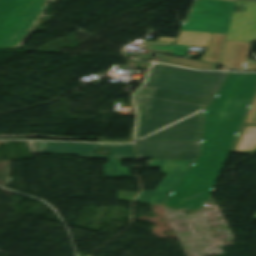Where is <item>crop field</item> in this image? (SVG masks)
<instances>
[{
  "instance_id": "crop-field-17",
  "label": "crop field",
  "mask_w": 256,
  "mask_h": 256,
  "mask_svg": "<svg viewBox=\"0 0 256 256\" xmlns=\"http://www.w3.org/2000/svg\"><path fill=\"white\" fill-rule=\"evenodd\" d=\"M254 219H256V214L254 215V217H253Z\"/></svg>"
},
{
  "instance_id": "crop-field-11",
  "label": "crop field",
  "mask_w": 256,
  "mask_h": 256,
  "mask_svg": "<svg viewBox=\"0 0 256 256\" xmlns=\"http://www.w3.org/2000/svg\"><path fill=\"white\" fill-rule=\"evenodd\" d=\"M121 160H134V159H121ZM121 160H108L104 164L106 178H121V177H134L130 176V170L121 167Z\"/></svg>"
},
{
  "instance_id": "crop-field-12",
  "label": "crop field",
  "mask_w": 256,
  "mask_h": 256,
  "mask_svg": "<svg viewBox=\"0 0 256 256\" xmlns=\"http://www.w3.org/2000/svg\"><path fill=\"white\" fill-rule=\"evenodd\" d=\"M109 151L108 159L134 158L133 145H103Z\"/></svg>"
},
{
  "instance_id": "crop-field-4",
  "label": "crop field",
  "mask_w": 256,
  "mask_h": 256,
  "mask_svg": "<svg viewBox=\"0 0 256 256\" xmlns=\"http://www.w3.org/2000/svg\"><path fill=\"white\" fill-rule=\"evenodd\" d=\"M193 161L151 159L145 168L161 166L168 174L154 192H142L135 202L162 205Z\"/></svg>"
},
{
  "instance_id": "crop-field-2",
  "label": "crop field",
  "mask_w": 256,
  "mask_h": 256,
  "mask_svg": "<svg viewBox=\"0 0 256 256\" xmlns=\"http://www.w3.org/2000/svg\"><path fill=\"white\" fill-rule=\"evenodd\" d=\"M256 88V73H230L205 110L201 155L168 200L195 195L214 185Z\"/></svg>"
},
{
  "instance_id": "crop-field-15",
  "label": "crop field",
  "mask_w": 256,
  "mask_h": 256,
  "mask_svg": "<svg viewBox=\"0 0 256 256\" xmlns=\"http://www.w3.org/2000/svg\"><path fill=\"white\" fill-rule=\"evenodd\" d=\"M137 193L119 192L118 201L132 202Z\"/></svg>"
},
{
  "instance_id": "crop-field-14",
  "label": "crop field",
  "mask_w": 256,
  "mask_h": 256,
  "mask_svg": "<svg viewBox=\"0 0 256 256\" xmlns=\"http://www.w3.org/2000/svg\"><path fill=\"white\" fill-rule=\"evenodd\" d=\"M144 87V86H143ZM154 90L153 88H147V87H144L142 88L140 91H138L136 94H135V100H136V105L138 107V109L140 110L139 106H138V98L137 96L138 95H141V96H147V97H152L153 96V93H154Z\"/></svg>"
},
{
  "instance_id": "crop-field-1",
  "label": "crop field",
  "mask_w": 256,
  "mask_h": 256,
  "mask_svg": "<svg viewBox=\"0 0 256 256\" xmlns=\"http://www.w3.org/2000/svg\"><path fill=\"white\" fill-rule=\"evenodd\" d=\"M227 74L154 65L145 85L156 88L154 96L138 97L137 139L199 141L202 109Z\"/></svg>"
},
{
  "instance_id": "crop-field-6",
  "label": "crop field",
  "mask_w": 256,
  "mask_h": 256,
  "mask_svg": "<svg viewBox=\"0 0 256 256\" xmlns=\"http://www.w3.org/2000/svg\"><path fill=\"white\" fill-rule=\"evenodd\" d=\"M245 12H234L226 40L256 41V0H238Z\"/></svg>"
},
{
  "instance_id": "crop-field-10",
  "label": "crop field",
  "mask_w": 256,
  "mask_h": 256,
  "mask_svg": "<svg viewBox=\"0 0 256 256\" xmlns=\"http://www.w3.org/2000/svg\"><path fill=\"white\" fill-rule=\"evenodd\" d=\"M153 61L179 65L184 67H190V68H196V69H206V70H214L217 68V65H218L214 63L176 58V57H170V56H163V55L155 56Z\"/></svg>"
},
{
  "instance_id": "crop-field-16",
  "label": "crop field",
  "mask_w": 256,
  "mask_h": 256,
  "mask_svg": "<svg viewBox=\"0 0 256 256\" xmlns=\"http://www.w3.org/2000/svg\"><path fill=\"white\" fill-rule=\"evenodd\" d=\"M29 143H30L32 152L38 153L44 142H29Z\"/></svg>"
},
{
  "instance_id": "crop-field-13",
  "label": "crop field",
  "mask_w": 256,
  "mask_h": 256,
  "mask_svg": "<svg viewBox=\"0 0 256 256\" xmlns=\"http://www.w3.org/2000/svg\"><path fill=\"white\" fill-rule=\"evenodd\" d=\"M9 178L8 161H0V185L7 186Z\"/></svg>"
},
{
  "instance_id": "crop-field-5",
  "label": "crop field",
  "mask_w": 256,
  "mask_h": 256,
  "mask_svg": "<svg viewBox=\"0 0 256 256\" xmlns=\"http://www.w3.org/2000/svg\"><path fill=\"white\" fill-rule=\"evenodd\" d=\"M200 143L137 141V158L195 160Z\"/></svg>"
},
{
  "instance_id": "crop-field-18",
  "label": "crop field",
  "mask_w": 256,
  "mask_h": 256,
  "mask_svg": "<svg viewBox=\"0 0 256 256\" xmlns=\"http://www.w3.org/2000/svg\"><path fill=\"white\" fill-rule=\"evenodd\" d=\"M0 143H3V142H0Z\"/></svg>"
},
{
  "instance_id": "crop-field-9",
  "label": "crop field",
  "mask_w": 256,
  "mask_h": 256,
  "mask_svg": "<svg viewBox=\"0 0 256 256\" xmlns=\"http://www.w3.org/2000/svg\"><path fill=\"white\" fill-rule=\"evenodd\" d=\"M213 188L214 186L193 197L184 198L180 201H166L163 206L174 209H189L197 211L208 200Z\"/></svg>"
},
{
  "instance_id": "crop-field-8",
  "label": "crop field",
  "mask_w": 256,
  "mask_h": 256,
  "mask_svg": "<svg viewBox=\"0 0 256 256\" xmlns=\"http://www.w3.org/2000/svg\"><path fill=\"white\" fill-rule=\"evenodd\" d=\"M95 150H100V145L45 142L39 153L70 154L79 155L80 158L94 159Z\"/></svg>"
},
{
  "instance_id": "crop-field-3",
  "label": "crop field",
  "mask_w": 256,
  "mask_h": 256,
  "mask_svg": "<svg viewBox=\"0 0 256 256\" xmlns=\"http://www.w3.org/2000/svg\"><path fill=\"white\" fill-rule=\"evenodd\" d=\"M0 0V48L17 47L40 18L48 0Z\"/></svg>"
},
{
  "instance_id": "crop-field-7",
  "label": "crop field",
  "mask_w": 256,
  "mask_h": 256,
  "mask_svg": "<svg viewBox=\"0 0 256 256\" xmlns=\"http://www.w3.org/2000/svg\"><path fill=\"white\" fill-rule=\"evenodd\" d=\"M256 151V95L242 124L231 152L253 154Z\"/></svg>"
}]
</instances>
